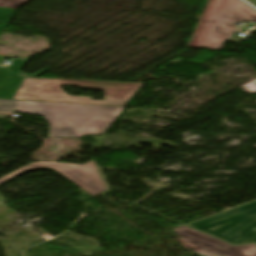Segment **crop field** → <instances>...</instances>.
Returning a JSON list of instances; mask_svg holds the SVG:
<instances>
[{"label":"crop field","instance_id":"crop-field-9","mask_svg":"<svg viewBox=\"0 0 256 256\" xmlns=\"http://www.w3.org/2000/svg\"><path fill=\"white\" fill-rule=\"evenodd\" d=\"M17 10V9H16ZM15 9L12 8H2L0 7V36L5 30L9 20L11 19ZM4 59V56L0 55V65Z\"/></svg>","mask_w":256,"mask_h":256},{"label":"crop field","instance_id":"crop-field-1","mask_svg":"<svg viewBox=\"0 0 256 256\" xmlns=\"http://www.w3.org/2000/svg\"><path fill=\"white\" fill-rule=\"evenodd\" d=\"M123 107L18 101L16 110L39 114L51 125L47 137H82L104 133Z\"/></svg>","mask_w":256,"mask_h":256},{"label":"crop field","instance_id":"crop-field-6","mask_svg":"<svg viewBox=\"0 0 256 256\" xmlns=\"http://www.w3.org/2000/svg\"><path fill=\"white\" fill-rule=\"evenodd\" d=\"M174 230L193 251L206 256H256L255 244L233 246L186 225Z\"/></svg>","mask_w":256,"mask_h":256},{"label":"crop field","instance_id":"crop-field-11","mask_svg":"<svg viewBox=\"0 0 256 256\" xmlns=\"http://www.w3.org/2000/svg\"><path fill=\"white\" fill-rule=\"evenodd\" d=\"M27 1L28 0H0V6L17 8V7H19L20 5L24 4Z\"/></svg>","mask_w":256,"mask_h":256},{"label":"crop field","instance_id":"crop-field-5","mask_svg":"<svg viewBox=\"0 0 256 256\" xmlns=\"http://www.w3.org/2000/svg\"><path fill=\"white\" fill-rule=\"evenodd\" d=\"M33 169H54L91 195L106 191L103 179L94 160L89 161L85 165L56 162H35L1 178L0 184L26 170ZM0 199L5 200L1 194Z\"/></svg>","mask_w":256,"mask_h":256},{"label":"crop field","instance_id":"crop-field-3","mask_svg":"<svg viewBox=\"0 0 256 256\" xmlns=\"http://www.w3.org/2000/svg\"><path fill=\"white\" fill-rule=\"evenodd\" d=\"M186 225L234 245L256 243V200Z\"/></svg>","mask_w":256,"mask_h":256},{"label":"crop field","instance_id":"crop-field-8","mask_svg":"<svg viewBox=\"0 0 256 256\" xmlns=\"http://www.w3.org/2000/svg\"><path fill=\"white\" fill-rule=\"evenodd\" d=\"M216 1L217 0H209L208 4H207V6L204 10V13H203V15H202V17L199 21V24H198L197 28L194 31L191 42L189 44L190 47H194V45H195V43H196V41H197V39H198L202 29H203V27H204L209 15H210L212 9H213Z\"/></svg>","mask_w":256,"mask_h":256},{"label":"crop field","instance_id":"crop-field-12","mask_svg":"<svg viewBox=\"0 0 256 256\" xmlns=\"http://www.w3.org/2000/svg\"><path fill=\"white\" fill-rule=\"evenodd\" d=\"M221 24H223V25H227V26H233V24H234V22H232V21H226V20H223V22L221 23Z\"/></svg>","mask_w":256,"mask_h":256},{"label":"crop field","instance_id":"crop-field-10","mask_svg":"<svg viewBox=\"0 0 256 256\" xmlns=\"http://www.w3.org/2000/svg\"><path fill=\"white\" fill-rule=\"evenodd\" d=\"M17 101L0 100V111L13 112Z\"/></svg>","mask_w":256,"mask_h":256},{"label":"crop field","instance_id":"crop-field-4","mask_svg":"<svg viewBox=\"0 0 256 256\" xmlns=\"http://www.w3.org/2000/svg\"><path fill=\"white\" fill-rule=\"evenodd\" d=\"M223 19L255 21L256 12L240 0H218L195 47L220 50L238 28L220 25Z\"/></svg>","mask_w":256,"mask_h":256},{"label":"crop field","instance_id":"crop-field-13","mask_svg":"<svg viewBox=\"0 0 256 256\" xmlns=\"http://www.w3.org/2000/svg\"><path fill=\"white\" fill-rule=\"evenodd\" d=\"M250 2H252L254 5H256V0H248Z\"/></svg>","mask_w":256,"mask_h":256},{"label":"crop field","instance_id":"crop-field-7","mask_svg":"<svg viewBox=\"0 0 256 256\" xmlns=\"http://www.w3.org/2000/svg\"><path fill=\"white\" fill-rule=\"evenodd\" d=\"M23 60L14 59L10 68L0 67V98L11 99L24 78L17 74Z\"/></svg>","mask_w":256,"mask_h":256},{"label":"crop field","instance_id":"crop-field-2","mask_svg":"<svg viewBox=\"0 0 256 256\" xmlns=\"http://www.w3.org/2000/svg\"><path fill=\"white\" fill-rule=\"evenodd\" d=\"M144 83L77 81L52 78H25L13 99L72 104L125 106ZM61 85L78 86L82 89H98L106 93L104 101L90 97L67 95Z\"/></svg>","mask_w":256,"mask_h":256}]
</instances>
